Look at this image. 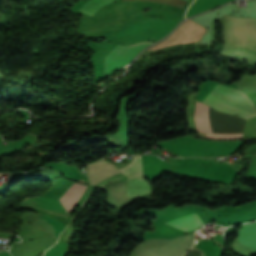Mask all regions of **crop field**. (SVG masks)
Here are the masks:
<instances>
[{
  "mask_svg": "<svg viewBox=\"0 0 256 256\" xmlns=\"http://www.w3.org/2000/svg\"><path fill=\"white\" fill-rule=\"evenodd\" d=\"M194 121L198 132H206L207 138L216 139V111L197 102ZM245 120L217 112V139L242 137Z\"/></svg>",
  "mask_w": 256,
  "mask_h": 256,
  "instance_id": "crop-field-1",
  "label": "crop field"
},
{
  "mask_svg": "<svg viewBox=\"0 0 256 256\" xmlns=\"http://www.w3.org/2000/svg\"><path fill=\"white\" fill-rule=\"evenodd\" d=\"M203 103L221 112L246 119L256 116V110L245 94L239 90L220 85L212 91Z\"/></svg>",
  "mask_w": 256,
  "mask_h": 256,
  "instance_id": "crop-field-2",
  "label": "crop field"
},
{
  "mask_svg": "<svg viewBox=\"0 0 256 256\" xmlns=\"http://www.w3.org/2000/svg\"><path fill=\"white\" fill-rule=\"evenodd\" d=\"M119 170L129 178L127 197L133 198L152 191L150 184L143 177L140 155L133 156L132 162Z\"/></svg>",
  "mask_w": 256,
  "mask_h": 256,
  "instance_id": "crop-field-3",
  "label": "crop field"
},
{
  "mask_svg": "<svg viewBox=\"0 0 256 256\" xmlns=\"http://www.w3.org/2000/svg\"><path fill=\"white\" fill-rule=\"evenodd\" d=\"M149 44L151 43L136 44L130 47L117 45L112 52L105 57L104 77L117 68L127 64L137 52Z\"/></svg>",
  "mask_w": 256,
  "mask_h": 256,
  "instance_id": "crop-field-4",
  "label": "crop field"
},
{
  "mask_svg": "<svg viewBox=\"0 0 256 256\" xmlns=\"http://www.w3.org/2000/svg\"><path fill=\"white\" fill-rule=\"evenodd\" d=\"M194 23L190 20L184 22L183 25L170 38L148 50H154L175 43L197 41L201 37L205 29Z\"/></svg>",
  "mask_w": 256,
  "mask_h": 256,
  "instance_id": "crop-field-5",
  "label": "crop field"
},
{
  "mask_svg": "<svg viewBox=\"0 0 256 256\" xmlns=\"http://www.w3.org/2000/svg\"><path fill=\"white\" fill-rule=\"evenodd\" d=\"M86 188L87 186L73 183L72 186L59 199L68 212L72 206L82 197Z\"/></svg>",
  "mask_w": 256,
  "mask_h": 256,
  "instance_id": "crop-field-6",
  "label": "crop field"
},
{
  "mask_svg": "<svg viewBox=\"0 0 256 256\" xmlns=\"http://www.w3.org/2000/svg\"><path fill=\"white\" fill-rule=\"evenodd\" d=\"M165 223L184 231L196 229L202 224L196 213Z\"/></svg>",
  "mask_w": 256,
  "mask_h": 256,
  "instance_id": "crop-field-7",
  "label": "crop field"
},
{
  "mask_svg": "<svg viewBox=\"0 0 256 256\" xmlns=\"http://www.w3.org/2000/svg\"><path fill=\"white\" fill-rule=\"evenodd\" d=\"M113 0H90L86 2L79 11L92 15L100 6H103Z\"/></svg>",
  "mask_w": 256,
  "mask_h": 256,
  "instance_id": "crop-field-8",
  "label": "crop field"
},
{
  "mask_svg": "<svg viewBox=\"0 0 256 256\" xmlns=\"http://www.w3.org/2000/svg\"><path fill=\"white\" fill-rule=\"evenodd\" d=\"M66 251V242L56 243L43 256H63Z\"/></svg>",
  "mask_w": 256,
  "mask_h": 256,
  "instance_id": "crop-field-9",
  "label": "crop field"
},
{
  "mask_svg": "<svg viewBox=\"0 0 256 256\" xmlns=\"http://www.w3.org/2000/svg\"><path fill=\"white\" fill-rule=\"evenodd\" d=\"M121 1H151V2H159V3H164L168 5H172L178 8L183 9V7L186 4V1L183 0H121Z\"/></svg>",
  "mask_w": 256,
  "mask_h": 256,
  "instance_id": "crop-field-10",
  "label": "crop field"
},
{
  "mask_svg": "<svg viewBox=\"0 0 256 256\" xmlns=\"http://www.w3.org/2000/svg\"><path fill=\"white\" fill-rule=\"evenodd\" d=\"M248 177L256 178V159H253V163L249 172L246 174Z\"/></svg>",
  "mask_w": 256,
  "mask_h": 256,
  "instance_id": "crop-field-11",
  "label": "crop field"
},
{
  "mask_svg": "<svg viewBox=\"0 0 256 256\" xmlns=\"http://www.w3.org/2000/svg\"><path fill=\"white\" fill-rule=\"evenodd\" d=\"M119 174V173H118ZM116 175V174H115Z\"/></svg>",
  "mask_w": 256,
  "mask_h": 256,
  "instance_id": "crop-field-12",
  "label": "crop field"
}]
</instances>
